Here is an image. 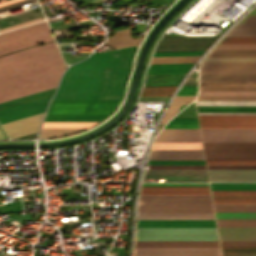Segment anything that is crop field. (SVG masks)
Listing matches in <instances>:
<instances>
[{
  "mask_svg": "<svg viewBox=\"0 0 256 256\" xmlns=\"http://www.w3.org/2000/svg\"><path fill=\"white\" fill-rule=\"evenodd\" d=\"M136 46L94 52L71 66L53 99H121Z\"/></svg>",
  "mask_w": 256,
  "mask_h": 256,
  "instance_id": "obj_1",
  "label": "crop field"
},
{
  "mask_svg": "<svg viewBox=\"0 0 256 256\" xmlns=\"http://www.w3.org/2000/svg\"><path fill=\"white\" fill-rule=\"evenodd\" d=\"M67 64L55 42L0 57V102L55 88Z\"/></svg>",
  "mask_w": 256,
  "mask_h": 256,
  "instance_id": "obj_2",
  "label": "crop field"
},
{
  "mask_svg": "<svg viewBox=\"0 0 256 256\" xmlns=\"http://www.w3.org/2000/svg\"><path fill=\"white\" fill-rule=\"evenodd\" d=\"M47 22H39L0 35V54L53 41Z\"/></svg>",
  "mask_w": 256,
  "mask_h": 256,
  "instance_id": "obj_3",
  "label": "crop field"
},
{
  "mask_svg": "<svg viewBox=\"0 0 256 256\" xmlns=\"http://www.w3.org/2000/svg\"><path fill=\"white\" fill-rule=\"evenodd\" d=\"M55 89L0 104V124L44 112Z\"/></svg>",
  "mask_w": 256,
  "mask_h": 256,
  "instance_id": "obj_4",
  "label": "crop field"
},
{
  "mask_svg": "<svg viewBox=\"0 0 256 256\" xmlns=\"http://www.w3.org/2000/svg\"><path fill=\"white\" fill-rule=\"evenodd\" d=\"M136 240H218L215 228H137Z\"/></svg>",
  "mask_w": 256,
  "mask_h": 256,
  "instance_id": "obj_5",
  "label": "crop field"
},
{
  "mask_svg": "<svg viewBox=\"0 0 256 256\" xmlns=\"http://www.w3.org/2000/svg\"><path fill=\"white\" fill-rule=\"evenodd\" d=\"M119 100H52L47 114H110Z\"/></svg>",
  "mask_w": 256,
  "mask_h": 256,
  "instance_id": "obj_6",
  "label": "crop field"
},
{
  "mask_svg": "<svg viewBox=\"0 0 256 256\" xmlns=\"http://www.w3.org/2000/svg\"><path fill=\"white\" fill-rule=\"evenodd\" d=\"M206 159H256V143H203Z\"/></svg>",
  "mask_w": 256,
  "mask_h": 256,
  "instance_id": "obj_7",
  "label": "crop field"
},
{
  "mask_svg": "<svg viewBox=\"0 0 256 256\" xmlns=\"http://www.w3.org/2000/svg\"><path fill=\"white\" fill-rule=\"evenodd\" d=\"M203 142H256V129H201Z\"/></svg>",
  "mask_w": 256,
  "mask_h": 256,
  "instance_id": "obj_8",
  "label": "crop field"
},
{
  "mask_svg": "<svg viewBox=\"0 0 256 256\" xmlns=\"http://www.w3.org/2000/svg\"><path fill=\"white\" fill-rule=\"evenodd\" d=\"M134 256H220L219 248H135Z\"/></svg>",
  "mask_w": 256,
  "mask_h": 256,
  "instance_id": "obj_9",
  "label": "crop field"
},
{
  "mask_svg": "<svg viewBox=\"0 0 256 256\" xmlns=\"http://www.w3.org/2000/svg\"><path fill=\"white\" fill-rule=\"evenodd\" d=\"M200 74H256V62H204Z\"/></svg>",
  "mask_w": 256,
  "mask_h": 256,
  "instance_id": "obj_10",
  "label": "crop field"
},
{
  "mask_svg": "<svg viewBox=\"0 0 256 256\" xmlns=\"http://www.w3.org/2000/svg\"><path fill=\"white\" fill-rule=\"evenodd\" d=\"M144 178H165V181H207L205 170L148 169Z\"/></svg>",
  "mask_w": 256,
  "mask_h": 256,
  "instance_id": "obj_11",
  "label": "crop field"
},
{
  "mask_svg": "<svg viewBox=\"0 0 256 256\" xmlns=\"http://www.w3.org/2000/svg\"><path fill=\"white\" fill-rule=\"evenodd\" d=\"M154 142H201L198 129H163Z\"/></svg>",
  "mask_w": 256,
  "mask_h": 256,
  "instance_id": "obj_12",
  "label": "crop field"
},
{
  "mask_svg": "<svg viewBox=\"0 0 256 256\" xmlns=\"http://www.w3.org/2000/svg\"><path fill=\"white\" fill-rule=\"evenodd\" d=\"M137 227H215L214 220H138Z\"/></svg>",
  "mask_w": 256,
  "mask_h": 256,
  "instance_id": "obj_13",
  "label": "crop field"
},
{
  "mask_svg": "<svg viewBox=\"0 0 256 256\" xmlns=\"http://www.w3.org/2000/svg\"><path fill=\"white\" fill-rule=\"evenodd\" d=\"M247 75H202V77H246ZM256 78V75H249ZM202 81H246V78H202ZM256 81V79H249ZM246 83H202V85L245 86ZM248 86H256V83H248ZM245 87H202V90H244ZM248 90H256V87H248Z\"/></svg>",
  "mask_w": 256,
  "mask_h": 256,
  "instance_id": "obj_14",
  "label": "crop field"
},
{
  "mask_svg": "<svg viewBox=\"0 0 256 256\" xmlns=\"http://www.w3.org/2000/svg\"><path fill=\"white\" fill-rule=\"evenodd\" d=\"M210 181H256V170H208Z\"/></svg>",
  "mask_w": 256,
  "mask_h": 256,
  "instance_id": "obj_15",
  "label": "crop field"
},
{
  "mask_svg": "<svg viewBox=\"0 0 256 256\" xmlns=\"http://www.w3.org/2000/svg\"><path fill=\"white\" fill-rule=\"evenodd\" d=\"M214 203H256V191H212Z\"/></svg>",
  "mask_w": 256,
  "mask_h": 256,
  "instance_id": "obj_16",
  "label": "crop field"
},
{
  "mask_svg": "<svg viewBox=\"0 0 256 256\" xmlns=\"http://www.w3.org/2000/svg\"><path fill=\"white\" fill-rule=\"evenodd\" d=\"M135 247H219L218 241H136Z\"/></svg>",
  "mask_w": 256,
  "mask_h": 256,
  "instance_id": "obj_17",
  "label": "crop field"
},
{
  "mask_svg": "<svg viewBox=\"0 0 256 256\" xmlns=\"http://www.w3.org/2000/svg\"><path fill=\"white\" fill-rule=\"evenodd\" d=\"M138 219H214L213 213H139Z\"/></svg>",
  "mask_w": 256,
  "mask_h": 256,
  "instance_id": "obj_18",
  "label": "crop field"
},
{
  "mask_svg": "<svg viewBox=\"0 0 256 256\" xmlns=\"http://www.w3.org/2000/svg\"><path fill=\"white\" fill-rule=\"evenodd\" d=\"M185 73L147 74L144 86L178 85Z\"/></svg>",
  "mask_w": 256,
  "mask_h": 256,
  "instance_id": "obj_19",
  "label": "crop field"
},
{
  "mask_svg": "<svg viewBox=\"0 0 256 256\" xmlns=\"http://www.w3.org/2000/svg\"><path fill=\"white\" fill-rule=\"evenodd\" d=\"M140 38L130 37L129 29L117 30L116 33L107 39L106 44L118 49L126 46L138 44Z\"/></svg>",
  "mask_w": 256,
  "mask_h": 256,
  "instance_id": "obj_20",
  "label": "crop field"
},
{
  "mask_svg": "<svg viewBox=\"0 0 256 256\" xmlns=\"http://www.w3.org/2000/svg\"><path fill=\"white\" fill-rule=\"evenodd\" d=\"M192 64L193 63L150 64L147 73L187 72Z\"/></svg>",
  "mask_w": 256,
  "mask_h": 256,
  "instance_id": "obj_21",
  "label": "crop field"
},
{
  "mask_svg": "<svg viewBox=\"0 0 256 256\" xmlns=\"http://www.w3.org/2000/svg\"><path fill=\"white\" fill-rule=\"evenodd\" d=\"M107 115H47L45 121H100Z\"/></svg>",
  "mask_w": 256,
  "mask_h": 256,
  "instance_id": "obj_22",
  "label": "crop field"
},
{
  "mask_svg": "<svg viewBox=\"0 0 256 256\" xmlns=\"http://www.w3.org/2000/svg\"><path fill=\"white\" fill-rule=\"evenodd\" d=\"M198 112H256L249 106H197Z\"/></svg>",
  "mask_w": 256,
  "mask_h": 256,
  "instance_id": "obj_23",
  "label": "crop field"
},
{
  "mask_svg": "<svg viewBox=\"0 0 256 256\" xmlns=\"http://www.w3.org/2000/svg\"><path fill=\"white\" fill-rule=\"evenodd\" d=\"M212 190H256V183H210Z\"/></svg>",
  "mask_w": 256,
  "mask_h": 256,
  "instance_id": "obj_24",
  "label": "crop field"
},
{
  "mask_svg": "<svg viewBox=\"0 0 256 256\" xmlns=\"http://www.w3.org/2000/svg\"><path fill=\"white\" fill-rule=\"evenodd\" d=\"M209 57H256V50H213Z\"/></svg>",
  "mask_w": 256,
  "mask_h": 256,
  "instance_id": "obj_25",
  "label": "crop field"
},
{
  "mask_svg": "<svg viewBox=\"0 0 256 256\" xmlns=\"http://www.w3.org/2000/svg\"><path fill=\"white\" fill-rule=\"evenodd\" d=\"M85 128H42L39 138H50L77 132Z\"/></svg>",
  "mask_w": 256,
  "mask_h": 256,
  "instance_id": "obj_26",
  "label": "crop field"
},
{
  "mask_svg": "<svg viewBox=\"0 0 256 256\" xmlns=\"http://www.w3.org/2000/svg\"><path fill=\"white\" fill-rule=\"evenodd\" d=\"M165 128H199L197 118H173Z\"/></svg>",
  "mask_w": 256,
  "mask_h": 256,
  "instance_id": "obj_27",
  "label": "crop field"
},
{
  "mask_svg": "<svg viewBox=\"0 0 256 256\" xmlns=\"http://www.w3.org/2000/svg\"><path fill=\"white\" fill-rule=\"evenodd\" d=\"M177 86L143 87L141 96L172 95Z\"/></svg>",
  "mask_w": 256,
  "mask_h": 256,
  "instance_id": "obj_28",
  "label": "crop field"
},
{
  "mask_svg": "<svg viewBox=\"0 0 256 256\" xmlns=\"http://www.w3.org/2000/svg\"><path fill=\"white\" fill-rule=\"evenodd\" d=\"M226 36H256V24H238Z\"/></svg>",
  "mask_w": 256,
  "mask_h": 256,
  "instance_id": "obj_29",
  "label": "crop field"
},
{
  "mask_svg": "<svg viewBox=\"0 0 256 256\" xmlns=\"http://www.w3.org/2000/svg\"><path fill=\"white\" fill-rule=\"evenodd\" d=\"M200 56L152 57L150 63L195 62Z\"/></svg>",
  "mask_w": 256,
  "mask_h": 256,
  "instance_id": "obj_30",
  "label": "crop field"
},
{
  "mask_svg": "<svg viewBox=\"0 0 256 256\" xmlns=\"http://www.w3.org/2000/svg\"><path fill=\"white\" fill-rule=\"evenodd\" d=\"M97 122H44L42 127H89Z\"/></svg>",
  "mask_w": 256,
  "mask_h": 256,
  "instance_id": "obj_31",
  "label": "crop field"
},
{
  "mask_svg": "<svg viewBox=\"0 0 256 256\" xmlns=\"http://www.w3.org/2000/svg\"><path fill=\"white\" fill-rule=\"evenodd\" d=\"M216 219H256V213H215Z\"/></svg>",
  "mask_w": 256,
  "mask_h": 256,
  "instance_id": "obj_32",
  "label": "crop field"
},
{
  "mask_svg": "<svg viewBox=\"0 0 256 256\" xmlns=\"http://www.w3.org/2000/svg\"><path fill=\"white\" fill-rule=\"evenodd\" d=\"M218 226H256V220H216Z\"/></svg>",
  "mask_w": 256,
  "mask_h": 256,
  "instance_id": "obj_33",
  "label": "crop field"
},
{
  "mask_svg": "<svg viewBox=\"0 0 256 256\" xmlns=\"http://www.w3.org/2000/svg\"><path fill=\"white\" fill-rule=\"evenodd\" d=\"M200 95H256V91H200Z\"/></svg>",
  "mask_w": 256,
  "mask_h": 256,
  "instance_id": "obj_34",
  "label": "crop field"
},
{
  "mask_svg": "<svg viewBox=\"0 0 256 256\" xmlns=\"http://www.w3.org/2000/svg\"><path fill=\"white\" fill-rule=\"evenodd\" d=\"M221 247H256V241H220Z\"/></svg>",
  "mask_w": 256,
  "mask_h": 256,
  "instance_id": "obj_35",
  "label": "crop field"
},
{
  "mask_svg": "<svg viewBox=\"0 0 256 256\" xmlns=\"http://www.w3.org/2000/svg\"><path fill=\"white\" fill-rule=\"evenodd\" d=\"M207 164L256 165V160H206Z\"/></svg>",
  "mask_w": 256,
  "mask_h": 256,
  "instance_id": "obj_36",
  "label": "crop field"
},
{
  "mask_svg": "<svg viewBox=\"0 0 256 256\" xmlns=\"http://www.w3.org/2000/svg\"><path fill=\"white\" fill-rule=\"evenodd\" d=\"M140 194H210L209 191H141Z\"/></svg>",
  "mask_w": 256,
  "mask_h": 256,
  "instance_id": "obj_37",
  "label": "crop field"
},
{
  "mask_svg": "<svg viewBox=\"0 0 256 256\" xmlns=\"http://www.w3.org/2000/svg\"><path fill=\"white\" fill-rule=\"evenodd\" d=\"M220 43H256V37H224Z\"/></svg>",
  "mask_w": 256,
  "mask_h": 256,
  "instance_id": "obj_38",
  "label": "crop field"
},
{
  "mask_svg": "<svg viewBox=\"0 0 256 256\" xmlns=\"http://www.w3.org/2000/svg\"><path fill=\"white\" fill-rule=\"evenodd\" d=\"M141 190H209L208 187H142Z\"/></svg>",
  "mask_w": 256,
  "mask_h": 256,
  "instance_id": "obj_39",
  "label": "crop field"
},
{
  "mask_svg": "<svg viewBox=\"0 0 256 256\" xmlns=\"http://www.w3.org/2000/svg\"><path fill=\"white\" fill-rule=\"evenodd\" d=\"M148 164H205L204 161L148 160Z\"/></svg>",
  "mask_w": 256,
  "mask_h": 256,
  "instance_id": "obj_40",
  "label": "crop field"
},
{
  "mask_svg": "<svg viewBox=\"0 0 256 256\" xmlns=\"http://www.w3.org/2000/svg\"><path fill=\"white\" fill-rule=\"evenodd\" d=\"M204 51L154 52L152 56L202 55Z\"/></svg>",
  "mask_w": 256,
  "mask_h": 256,
  "instance_id": "obj_41",
  "label": "crop field"
},
{
  "mask_svg": "<svg viewBox=\"0 0 256 256\" xmlns=\"http://www.w3.org/2000/svg\"><path fill=\"white\" fill-rule=\"evenodd\" d=\"M149 168L205 169V165H149Z\"/></svg>",
  "mask_w": 256,
  "mask_h": 256,
  "instance_id": "obj_42",
  "label": "crop field"
},
{
  "mask_svg": "<svg viewBox=\"0 0 256 256\" xmlns=\"http://www.w3.org/2000/svg\"><path fill=\"white\" fill-rule=\"evenodd\" d=\"M142 186H208V183H143Z\"/></svg>",
  "mask_w": 256,
  "mask_h": 256,
  "instance_id": "obj_43",
  "label": "crop field"
},
{
  "mask_svg": "<svg viewBox=\"0 0 256 256\" xmlns=\"http://www.w3.org/2000/svg\"><path fill=\"white\" fill-rule=\"evenodd\" d=\"M197 105H250L256 106V102H196Z\"/></svg>",
  "mask_w": 256,
  "mask_h": 256,
  "instance_id": "obj_44",
  "label": "crop field"
},
{
  "mask_svg": "<svg viewBox=\"0 0 256 256\" xmlns=\"http://www.w3.org/2000/svg\"><path fill=\"white\" fill-rule=\"evenodd\" d=\"M208 169H256V166L241 165H207Z\"/></svg>",
  "mask_w": 256,
  "mask_h": 256,
  "instance_id": "obj_45",
  "label": "crop field"
},
{
  "mask_svg": "<svg viewBox=\"0 0 256 256\" xmlns=\"http://www.w3.org/2000/svg\"><path fill=\"white\" fill-rule=\"evenodd\" d=\"M180 105H170L163 120L162 123H165L167 120H169L173 115H175L179 109Z\"/></svg>",
  "mask_w": 256,
  "mask_h": 256,
  "instance_id": "obj_46",
  "label": "crop field"
},
{
  "mask_svg": "<svg viewBox=\"0 0 256 256\" xmlns=\"http://www.w3.org/2000/svg\"><path fill=\"white\" fill-rule=\"evenodd\" d=\"M197 86H182L177 95H196Z\"/></svg>",
  "mask_w": 256,
  "mask_h": 256,
  "instance_id": "obj_47",
  "label": "crop field"
},
{
  "mask_svg": "<svg viewBox=\"0 0 256 256\" xmlns=\"http://www.w3.org/2000/svg\"><path fill=\"white\" fill-rule=\"evenodd\" d=\"M205 61H256V58H207Z\"/></svg>",
  "mask_w": 256,
  "mask_h": 256,
  "instance_id": "obj_48",
  "label": "crop field"
},
{
  "mask_svg": "<svg viewBox=\"0 0 256 256\" xmlns=\"http://www.w3.org/2000/svg\"><path fill=\"white\" fill-rule=\"evenodd\" d=\"M36 1L37 0H23V1H20V2L12 3V4H9V5H5V6L0 7V11L15 8V7L22 6V5H25V4H29V3H32V2H36Z\"/></svg>",
  "mask_w": 256,
  "mask_h": 256,
  "instance_id": "obj_49",
  "label": "crop field"
},
{
  "mask_svg": "<svg viewBox=\"0 0 256 256\" xmlns=\"http://www.w3.org/2000/svg\"><path fill=\"white\" fill-rule=\"evenodd\" d=\"M199 115H256V113H198Z\"/></svg>",
  "mask_w": 256,
  "mask_h": 256,
  "instance_id": "obj_50",
  "label": "crop field"
},
{
  "mask_svg": "<svg viewBox=\"0 0 256 256\" xmlns=\"http://www.w3.org/2000/svg\"><path fill=\"white\" fill-rule=\"evenodd\" d=\"M38 21H42V18L36 19V20H33V21H29V22H25V23H22V24H18V25H15V26L7 27V28H4V29H0V32L6 31V30H9V29H13V28H17V27H20V26H24V25H27V24L35 23V22H38Z\"/></svg>",
  "mask_w": 256,
  "mask_h": 256,
  "instance_id": "obj_51",
  "label": "crop field"
},
{
  "mask_svg": "<svg viewBox=\"0 0 256 256\" xmlns=\"http://www.w3.org/2000/svg\"><path fill=\"white\" fill-rule=\"evenodd\" d=\"M192 100L172 101L171 104H188Z\"/></svg>",
  "mask_w": 256,
  "mask_h": 256,
  "instance_id": "obj_52",
  "label": "crop field"
},
{
  "mask_svg": "<svg viewBox=\"0 0 256 256\" xmlns=\"http://www.w3.org/2000/svg\"><path fill=\"white\" fill-rule=\"evenodd\" d=\"M59 18H61V17H59ZM59 18H53V19H49L48 21H50V20H54V19H59Z\"/></svg>",
  "mask_w": 256,
  "mask_h": 256,
  "instance_id": "obj_53",
  "label": "crop field"
},
{
  "mask_svg": "<svg viewBox=\"0 0 256 256\" xmlns=\"http://www.w3.org/2000/svg\"><path fill=\"white\" fill-rule=\"evenodd\" d=\"M3 256H15V255H3Z\"/></svg>",
  "mask_w": 256,
  "mask_h": 256,
  "instance_id": "obj_54",
  "label": "crop field"
},
{
  "mask_svg": "<svg viewBox=\"0 0 256 256\" xmlns=\"http://www.w3.org/2000/svg\"><path fill=\"white\" fill-rule=\"evenodd\" d=\"M85 222H90V221H85ZM77 223H83V222H77Z\"/></svg>",
  "mask_w": 256,
  "mask_h": 256,
  "instance_id": "obj_55",
  "label": "crop field"
},
{
  "mask_svg": "<svg viewBox=\"0 0 256 256\" xmlns=\"http://www.w3.org/2000/svg\"><path fill=\"white\" fill-rule=\"evenodd\" d=\"M92 1H101V0H92Z\"/></svg>",
  "mask_w": 256,
  "mask_h": 256,
  "instance_id": "obj_56",
  "label": "crop field"
}]
</instances>
